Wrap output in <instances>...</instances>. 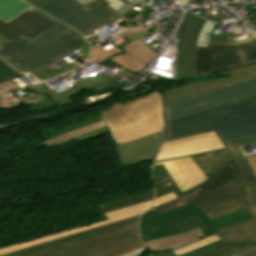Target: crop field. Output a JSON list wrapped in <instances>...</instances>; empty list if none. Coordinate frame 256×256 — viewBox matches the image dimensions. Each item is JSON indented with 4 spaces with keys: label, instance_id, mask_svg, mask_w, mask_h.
<instances>
[{
    "label": "crop field",
    "instance_id": "crop-field-49",
    "mask_svg": "<svg viewBox=\"0 0 256 256\" xmlns=\"http://www.w3.org/2000/svg\"><path fill=\"white\" fill-rule=\"evenodd\" d=\"M145 253V250L144 249H141V250H139V251H136V252H134V253H132V254H128V255H126V256H140V255H142V254H144Z\"/></svg>",
    "mask_w": 256,
    "mask_h": 256
},
{
    "label": "crop field",
    "instance_id": "crop-field-38",
    "mask_svg": "<svg viewBox=\"0 0 256 256\" xmlns=\"http://www.w3.org/2000/svg\"><path fill=\"white\" fill-rule=\"evenodd\" d=\"M224 242H225V241L219 240V241H217V242H214V243H212V244H209V245L204 246V247H202V248L196 249V250H194V251H191V252L186 253V254L181 255V256H193V255H196V254H198V253H200V252H203V251H205V250H207V249H210V248H212V247H214V246H217V245H219V244H222V243H224Z\"/></svg>",
    "mask_w": 256,
    "mask_h": 256
},
{
    "label": "crop field",
    "instance_id": "crop-field-17",
    "mask_svg": "<svg viewBox=\"0 0 256 256\" xmlns=\"http://www.w3.org/2000/svg\"><path fill=\"white\" fill-rule=\"evenodd\" d=\"M51 25L27 10L9 23L0 20V34L8 40L21 33L31 38Z\"/></svg>",
    "mask_w": 256,
    "mask_h": 256
},
{
    "label": "crop field",
    "instance_id": "crop-field-1",
    "mask_svg": "<svg viewBox=\"0 0 256 256\" xmlns=\"http://www.w3.org/2000/svg\"><path fill=\"white\" fill-rule=\"evenodd\" d=\"M206 196L200 188L180 199L155 207L140 218L142 241L185 233L200 227L204 237L215 230L252 219L246 209L211 221L193 202Z\"/></svg>",
    "mask_w": 256,
    "mask_h": 256
},
{
    "label": "crop field",
    "instance_id": "crop-field-33",
    "mask_svg": "<svg viewBox=\"0 0 256 256\" xmlns=\"http://www.w3.org/2000/svg\"><path fill=\"white\" fill-rule=\"evenodd\" d=\"M219 240V237L217 236H212V237H208V238H204L202 240H199L193 244H190L188 246H185L181 249H178V250H175V251H172L174 254H176L177 256L181 255V254H184L186 252H189L191 250H194L196 248H199V247H202L204 245H207L209 243H212L214 241H217Z\"/></svg>",
    "mask_w": 256,
    "mask_h": 256
},
{
    "label": "crop field",
    "instance_id": "crop-field-56",
    "mask_svg": "<svg viewBox=\"0 0 256 256\" xmlns=\"http://www.w3.org/2000/svg\"><path fill=\"white\" fill-rule=\"evenodd\" d=\"M148 256H150V255H148Z\"/></svg>",
    "mask_w": 256,
    "mask_h": 256
},
{
    "label": "crop field",
    "instance_id": "crop-field-15",
    "mask_svg": "<svg viewBox=\"0 0 256 256\" xmlns=\"http://www.w3.org/2000/svg\"><path fill=\"white\" fill-rule=\"evenodd\" d=\"M239 175L237 168L235 166L234 161H232L230 164H228L224 169H222L220 172L217 174L213 175L211 178L205 180L203 183L200 185L189 189L185 192H181V190L178 188V186L175 184V182L170 179H166L163 181L155 182V190H156V196L155 198L162 196L166 193H169L173 191L178 197H181L199 187H201L205 193L208 195L220 186L224 185L234 177Z\"/></svg>",
    "mask_w": 256,
    "mask_h": 256
},
{
    "label": "crop field",
    "instance_id": "crop-field-54",
    "mask_svg": "<svg viewBox=\"0 0 256 256\" xmlns=\"http://www.w3.org/2000/svg\"><path fill=\"white\" fill-rule=\"evenodd\" d=\"M253 15H256V13H254Z\"/></svg>",
    "mask_w": 256,
    "mask_h": 256
},
{
    "label": "crop field",
    "instance_id": "crop-field-40",
    "mask_svg": "<svg viewBox=\"0 0 256 256\" xmlns=\"http://www.w3.org/2000/svg\"><path fill=\"white\" fill-rule=\"evenodd\" d=\"M232 256H256V246L240 251Z\"/></svg>",
    "mask_w": 256,
    "mask_h": 256
},
{
    "label": "crop field",
    "instance_id": "crop-field-46",
    "mask_svg": "<svg viewBox=\"0 0 256 256\" xmlns=\"http://www.w3.org/2000/svg\"><path fill=\"white\" fill-rule=\"evenodd\" d=\"M247 158H248V161H249L253 171L256 174V156H248Z\"/></svg>",
    "mask_w": 256,
    "mask_h": 256
},
{
    "label": "crop field",
    "instance_id": "crop-field-10",
    "mask_svg": "<svg viewBox=\"0 0 256 256\" xmlns=\"http://www.w3.org/2000/svg\"><path fill=\"white\" fill-rule=\"evenodd\" d=\"M226 75L229 74L230 77L212 80L208 82L199 81L190 83L188 85L171 89L163 94L164 103L168 101H173L179 98L188 97L194 94L234 85L237 83L245 82L248 80L256 79V64L221 72L215 75ZM226 82V84H225Z\"/></svg>",
    "mask_w": 256,
    "mask_h": 256
},
{
    "label": "crop field",
    "instance_id": "crop-field-24",
    "mask_svg": "<svg viewBox=\"0 0 256 256\" xmlns=\"http://www.w3.org/2000/svg\"><path fill=\"white\" fill-rule=\"evenodd\" d=\"M139 216L140 215L134 216V217H131V218H128V219H125V220H121V221H118V222H115V223H112V224H109V225H105V226H102V227H98V228H95V229H91V230H87V231H84V232L73 234V235H70V236H67V237H63V238H60V239H57V240H53V241H50V242H47V243H43V244L35 245V246H32V247H28V248H25V249H22V250H19V251H15V252H12V253H9V254H6V255H2V256H21V255H24V254H28V253H31L33 251H36V250H39V249H42V248H46V247H50V246L58 244V243L78 239V238H81V237H84V236H87V235H90V234H93V233H96V232H99V231H102V230H105V229H109V228H112V227H115V226H119V225H122V224H125V223H128V222L137 220L139 218Z\"/></svg>",
    "mask_w": 256,
    "mask_h": 256
},
{
    "label": "crop field",
    "instance_id": "crop-field-6",
    "mask_svg": "<svg viewBox=\"0 0 256 256\" xmlns=\"http://www.w3.org/2000/svg\"><path fill=\"white\" fill-rule=\"evenodd\" d=\"M24 1L77 29L83 37L94 34L93 30L124 17L108 7L107 5L110 3L105 0H96L84 7L76 0Z\"/></svg>",
    "mask_w": 256,
    "mask_h": 256
},
{
    "label": "crop field",
    "instance_id": "crop-field-30",
    "mask_svg": "<svg viewBox=\"0 0 256 256\" xmlns=\"http://www.w3.org/2000/svg\"><path fill=\"white\" fill-rule=\"evenodd\" d=\"M70 67H71V69H75V68H78V67H80V66H78V65H76V64H74V63H70V65L67 64V65L62 66V67H60V68H57V67L55 66V64H52V65H50V66H48V67H46V68H43V69H41V70H39V71H37V72H34V73H32V74H33L35 77H37L39 80L44 81V80H46V79H49V78H52V77L57 76V75H59V74L65 73V72H67V71H70V70L68 69V68H70Z\"/></svg>",
    "mask_w": 256,
    "mask_h": 256
},
{
    "label": "crop field",
    "instance_id": "crop-field-48",
    "mask_svg": "<svg viewBox=\"0 0 256 256\" xmlns=\"http://www.w3.org/2000/svg\"><path fill=\"white\" fill-rule=\"evenodd\" d=\"M251 98H256V97H251ZM247 99H250V98H247ZM243 100H245V99H243ZM240 101V100H239ZM230 103H234V101H232V102H230ZM230 103H227V104H230ZM227 104H223V105H220V106H216V107H213V108H210V109H214V108H218V107H221V106H224V105H227ZM210 109H207V110H210ZM207 110H204V111H207ZM201 112H203V111H201ZM201 112H198V113H195V114H199V113H201ZM195 114H192V115H195ZM188 116H191V115H188ZM185 117H187V116H185ZM181 118H183V117H181ZM179 119V118H178ZM174 120H176V119H174ZM171 121H173V120H171ZM167 122H170V121H167ZM167 122H165V123H167Z\"/></svg>",
    "mask_w": 256,
    "mask_h": 256
},
{
    "label": "crop field",
    "instance_id": "crop-field-2",
    "mask_svg": "<svg viewBox=\"0 0 256 256\" xmlns=\"http://www.w3.org/2000/svg\"><path fill=\"white\" fill-rule=\"evenodd\" d=\"M28 10L54 25L31 39L22 34L0 45V57L16 70L37 71L67 57L85 41L74 29L35 8Z\"/></svg>",
    "mask_w": 256,
    "mask_h": 256
},
{
    "label": "crop field",
    "instance_id": "crop-field-43",
    "mask_svg": "<svg viewBox=\"0 0 256 256\" xmlns=\"http://www.w3.org/2000/svg\"><path fill=\"white\" fill-rule=\"evenodd\" d=\"M119 70H120V71H119L118 73H120V74H122V75L128 77V78L131 79V80L137 75V73L132 72V71H130V70H128V69H125V68H123V69L120 68Z\"/></svg>",
    "mask_w": 256,
    "mask_h": 256
},
{
    "label": "crop field",
    "instance_id": "crop-field-16",
    "mask_svg": "<svg viewBox=\"0 0 256 256\" xmlns=\"http://www.w3.org/2000/svg\"><path fill=\"white\" fill-rule=\"evenodd\" d=\"M159 164L164 165L182 192L207 179L190 157L157 163L155 165Z\"/></svg>",
    "mask_w": 256,
    "mask_h": 256
},
{
    "label": "crop field",
    "instance_id": "crop-field-18",
    "mask_svg": "<svg viewBox=\"0 0 256 256\" xmlns=\"http://www.w3.org/2000/svg\"><path fill=\"white\" fill-rule=\"evenodd\" d=\"M121 48L126 52L108 60L137 73L142 71L157 55L140 39Z\"/></svg>",
    "mask_w": 256,
    "mask_h": 256
},
{
    "label": "crop field",
    "instance_id": "crop-field-51",
    "mask_svg": "<svg viewBox=\"0 0 256 256\" xmlns=\"http://www.w3.org/2000/svg\"><path fill=\"white\" fill-rule=\"evenodd\" d=\"M178 1H182V2H181V5H182L183 8L186 7L187 2H188V0H178Z\"/></svg>",
    "mask_w": 256,
    "mask_h": 256
},
{
    "label": "crop field",
    "instance_id": "crop-field-19",
    "mask_svg": "<svg viewBox=\"0 0 256 256\" xmlns=\"http://www.w3.org/2000/svg\"><path fill=\"white\" fill-rule=\"evenodd\" d=\"M141 248L143 246L136 231L101 246L89 248L69 256H121Z\"/></svg>",
    "mask_w": 256,
    "mask_h": 256
},
{
    "label": "crop field",
    "instance_id": "crop-field-31",
    "mask_svg": "<svg viewBox=\"0 0 256 256\" xmlns=\"http://www.w3.org/2000/svg\"><path fill=\"white\" fill-rule=\"evenodd\" d=\"M152 201H148V202L133 205L130 207L107 212V213H104V216L107 218V220H109V219L117 218V217L124 216L127 214L135 213L138 211L146 210V209L150 208Z\"/></svg>",
    "mask_w": 256,
    "mask_h": 256
},
{
    "label": "crop field",
    "instance_id": "crop-field-35",
    "mask_svg": "<svg viewBox=\"0 0 256 256\" xmlns=\"http://www.w3.org/2000/svg\"><path fill=\"white\" fill-rule=\"evenodd\" d=\"M214 25L215 23L207 21V23L205 24V26L203 27L200 33L196 46H205V47L207 46Z\"/></svg>",
    "mask_w": 256,
    "mask_h": 256
},
{
    "label": "crop field",
    "instance_id": "crop-field-39",
    "mask_svg": "<svg viewBox=\"0 0 256 256\" xmlns=\"http://www.w3.org/2000/svg\"><path fill=\"white\" fill-rule=\"evenodd\" d=\"M175 198H177V196L173 192H171L169 194H166V195H164L162 197H159V198L155 199V201H154V203L152 205V208L155 207V206H158L160 204H163V203H165L167 201H170L172 199H175Z\"/></svg>",
    "mask_w": 256,
    "mask_h": 256
},
{
    "label": "crop field",
    "instance_id": "crop-field-41",
    "mask_svg": "<svg viewBox=\"0 0 256 256\" xmlns=\"http://www.w3.org/2000/svg\"><path fill=\"white\" fill-rule=\"evenodd\" d=\"M90 45L85 41L79 48L80 50L78 53H80V57H87L88 52H89Z\"/></svg>",
    "mask_w": 256,
    "mask_h": 256
},
{
    "label": "crop field",
    "instance_id": "crop-field-34",
    "mask_svg": "<svg viewBox=\"0 0 256 256\" xmlns=\"http://www.w3.org/2000/svg\"><path fill=\"white\" fill-rule=\"evenodd\" d=\"M23 75L24 73L15 72L6 63L0 60V83Z\"/></svg>",
    "mask_w": 256,
    "mask_h": 256
},
{
    "label": "crop field",
    "instance_id": "crop-field-45",
    "mask_svg": "<svg viewBox=\"0 0 256 256\" xmlns=\"http://www.w3.org/2000/svg\"><path fill=\"white\" fill-rule=\"evenodd\" d=\"M256 245V244H255ZM252 246H254V245H252ZM252 246H250V247H252ZM247 248H249V247H247ZM244 249H246V248H244ZM241 250H243V249H241ZM240 251V250H239ZM236 252H238V251H236ZM236 252H233V253H231V254H234V253H236ZM231 254H228V255H225V256H229V255H231ZM152 256H175L172 252H165V253H156V254H153Z\"/></svg>",
    "mask_w": 256,
    "mask_h": 256
},
{
    "label": "crop field",
    "instance_id": "crop-field-44",
    "mask_svg": "<svg viewBox=\"0 0 256 256\" xmlns=\"http://www.w3.org/2000/svg\"><path fill=\"white\" fill-rule=\"evenodd\" d=\"M136 4H138V2H133L129 5L125 4L118 12H120L121 14H125L127 13L130 9H132Z\"/></svg>",
    "mask_w": 256,
    "mask_h": 256
},
{
    "label": "crop field",
    "instance_id": "crop-field-37",
    "mask_svg": "<svg viewBox=\"0 0 256 256\" xmlns=\"http://www.w3.org/2000/svg\"><path fill=\"white\" fill-rule=\"evenodd\" d=\"M249 145H256V143H254V144H243V145H240L239 148L235 147L237 145H231V146H226V147L229 149V151L231 152L233 157H237V156H243L242 153H245L244 146H249Z\"/></svg>",
    "mask_w": 256,
    "mask_h": 256
},
{
    "label": "crop field",
    "instance_id": "crop-field-22",
    "mask_svg": "<svg viewBox=\"0 0 256 256\" xmlns=\"http://www.w3.org/2000/svg\"><path fill=\"white\" fill-rule=\"evenodd\" d=\"M149 33H151L150 31L144 29V28H141V29H136V30H132V31H129V32H125V33H122L120 34L123 39L126 41L118 46H115L109 50H105L103 47L109 45V43L107 44H104V45H100L98 42L94 43L93 47H92V50L90 52V55H89V60L91 61H95V62H102L114 55H117L119 53H122L124 52L122 49H120L119 47L127 44V43H130L138 38H141V37H144L146 35H148ZM94 62V63H95Z\"/></svg>",
    "mask_w": 256,
    "mask_h": 256
},
{
    "label": "crop field",
    "instance_id": "crop-field-13",
    "mask_svg": "<svg viewBox=\"0 0 256 256\" xmlns=\"http://www.w3.org/2000/svg\"><path fill=\"white\" fill-rule=\"evenodd\" d=\"M120 77H116L113 80L110 79L106 74L101 73L98 75H94L88 78L80 79L73 83L72 88L56 93L54 90L50 91L47 86L43 83L35 85L33 87L27 88L26 90L35 91L37 93H42L50 96L52 99L56 101L57 104L64 106L69 104H74L75 102L69 97L77 95L83 91L89 90H109L113 87L108 84L119 79Z\"/></svg>",
    "mask_w": 256,
    "mask_h": 256
},
{
    "label": "crop field",
    "instance_id": "crop-field-36",
    "mask_svg": "<svg viewBox=\"0 0 256 256\" xmlns=\"http://www.w3.org/2000/svg\"><path fill=\"white\" fill-rule=\"evenodd\" d=\"M153 178H154V182H155V181H159L162 179L170 178V175L165 170L163 165H159V166H154V168H153Z\"/></svg>",
    "mask_w": 256,
    "mask_h": 256
},
{
    "label": "crop field",
    "instance_id": "crop-field-29",
    "mask_svg": "<svg viewBox=\"0 0 256 256\" xmlns=\"http://www.w3.org/2000/svg\"><path fill=\"white\" fill-rule=\"evenodd\" d=\"M256 242H226L196 256H223L241 248L255 244Z\"/></svg>",
    "mask_w": 256,
    "mask_h": 256
},
{
    "label": "crop field",
    "instance_id": "crop-field-12",
    "mask_svg": "<svg viewBox=\"0 0 256 256\" xmlns=\"http://www.w3.org/2000/svg\"><path fill=\"white\" fill-rule=\"evenodd\" d=\"M224 148L223 142L212 131L163 143L156 160Z\"/></svg>",
    "mask_w": 256,
    "mask_h": 256
},
{
    "label": "crop field",
    "instance_id": "crop-field-55",
    "mask_svg": "<svg viewBox=\"0 0 256 256\" xmlns=\"http://www.w3.org/2000/svg\"><path fill=\"white\" fill-rule=\"evenodd\" d=\"M246 1H250V0H246Z\"/></svg>",
    "mask_w": 256,
    "mask_h": 256
},
{
    "label": "crop field",
    "instance_id": "crop-field-11",
    "mask_svg": "<svg viewBox=\"0 0 256 256\" xmlns=\"http://www.w3.org/2000/svg\"><path fill=\"white\" fill-rule=\"evenodd\" d=\"M137 226H138V220L116 227V228L102 231L78 240L58 244L47 249L39 250L34 253H31L28 255L24 254V255L25 256H66L89 247L101 245L115 238L134 232L137 230Z\"/></svg>",
    "mask_w": 256,
    "mask_h": 256
},
{
    "label": "crop field",
    "instance_id": "crop-field-52",
    "mask_svg": "<svg viewBox=\"0 0 256 256\" xmlns=\"http://www.w3.org/2000/svg\"><path fill=\"white\" fill-rule=\"evenodd\" d=\"M5 41H7V40L0 35V44L5 42Z\"/></svg>",
    "mask_w": 256,
    "mask_h": 256
},
{
    "label": "crop field",
    "instance_id": "crop-field-53",
    "mask_svg": "<svg viewBox=\"0 0 256 256\" xmlns=\"http://www.w3.org/2000/svg\"><path fill=\"white\" fill-rule=\"evenodd\" d=\"M252 25V24H251ZM256 29V25H252Z\"/></svg>",
    "mask_w": 256,
    "mask_h": 256
},
{
    "label": "crop field",
    "instance_id": "crop-field-23",
    "mask_svg": "<svg viewBox=\"0 0 256 256\" xmlns=\"http://www.w3.org/2000/svg\"><path fill=\"white\" fill-rule=\"evenodd\" d=\"M247 210L254 219L217 230V234L222 239L229 241H256V217L249 208Z\"/></svg>",
    "mask_w": 256,
    "mask_h": 256
},
{
    "label": "crop field",
    "instance_id": "crop-field-28",
    "mask_svg": "<svg viewBox=\"0 0 256 256\" xmlns=\"http://www.w3.org/2000/svg\"><path fill=\"white\" fill-rule=\"evenodd\" d=\"M30 7L20 0H0V19L9 21Z\"/></svg>",
    "mask_w": 256,
    "mask_h": 256
},
{
    "label": "crop field",
    "instance_id": "crop-field-4",
    "mask_svg": "<svg viewBox=\"0 0 256 256\" xmlns=\"http://www.w3.org/2000/svg\"><path fill=\"white\" fill-rule=\"evenodd\" d=\"M100 115L116 145L164 130L162 101L158 91L124 106L118 103Z\"/></svg>",
    "mask_w": 256,
    "mask_h": 256
},
{
    "label": "crop field",
    "instance_id": "crop-field-47",
    "mask_svg": "<svg viewBox=\"0 0 256 256\" xmlns=\"http://www.w3.org/2000/svg\"><path fill=\"white\" fill-rule=\"evenodd\" d=\"M225 37H226L225 35H223V36L211 37L209 42H227V41L225 40Z\"/></svg>",
    "mask_w": 256,
    "mask_h": 256
},
{
    "label": "crop field",
    "instance_id": "crop-field-32",
    "mask_svg": "<svg viewBox=\"0 0 256 256\" xmlns=\"http://www.w3.org/2000/svg\"><path fill=\"white\" fill-rule=\"evenodd\" d=\"M101 120L102 119H101L100 115H98V116H95V117H92V118H89V119L77 122V123H75V124H73V125H71L69 127L63 128L61 130H58V131H55V132L49 134L44 141H47V140H49L51 138H54V137H56L58 135H61V134L65 133V132H68V131H71V130H74V129H77V128H80V127H83V126H86V125H89V124L101 121Z\"/></svg>",
    "mask_w": 256,
    "mask_h": 256
},
{
    "label": "crop field",
    "instance_id": "crop-field-21",
    "mask_svg": "<svg viewBox=\"0 0 256 256\" xmlns=\"http://www.w3.org/2000/svg\"><path fill=\"white\" fill-rule=\"evenodd\" d=\"M203 238L200 229L190 231L185 234L169 236L144 242L145 248L152 252L174 250L190 242Z\"/></svg>",
    "mask_w": 256,
    "mask_h": 256
},
{
    "label": "crop field",
    "instance_id": "crop-field-8",
    "mask_svg": "<svg viewBox=\"0 0 256 256\" xmlns=\"http://www.w3.org/2000/svg\"><path fill=\"white\" fill-rule=\"evenodd\" d=\"M251 96H256V80L168 102L164 104L165 121Z\"/></svg>",
    "mask_w": 256,
    "mask_h": 256
},
{
    "label": "crop field",
    "instance_id": "crop-field-3",
    "mask_svg": "<svg viewBox=\"0 0 256 256\" xmlns=\"http://www.w3.org/2000/svg\"><path fill=\"white\" fill-rule=\"evenodd\" d=\"M212 130L225 145L256 142V99L167 123L163 142Z\"/></svg>",
    "mask_w": 256,
    "mask_h": 256
},
{
    "label": "crop field",
    "instance_id": "crop-field-42",
    "mask_svg": "<svg viewBox=\"0 0 256 256\" xmlns=\"http://www.w3.org/2000/svg\"><path fill=\"white\" fill-rule=\"evenodd\" d=\"M107 1L111 3L108 6L112 7L117 11L125 4L121 0H107Z\"/></svg>",
    "mask_w": 256,
    "mask_h": 256
},
{
    "label": "crop field",
    "instance_id": "crop-field-25",
    "mask_svg": "<svg viewBox=\"0 0 256 256\" xmlns=\"http://www.w3.org/2000/svg\"><path fill=\"white\" fill-rule=\"evenodd\" d=\"M143 212L144 211L138 212V213H135V214H131V215H128V216L120 217V218H117V219L105 221V222H100V223H95V224H90V225H86V226H83V227L75 228V229H72L70 231L54 234L52 236L42 237V238H39V239L34 240V241H30V242H26V243H21V244L9 246V247L1 248L0 249V255L9 253V252H12V251H15V250H19V249H22V248H25V247H28V246H32V245H35V244H38V243L50 241V240L57 239V238H60V237H63V236H67V235H70V234H73V233L84 231V230H87V229H91V228H95V227L102 226V225H105V224H109V223H112V222H115V221H118V220H121V219H125V218H128V217L134 216V215L141 214Z\"/></svg>",
    "mask_w": 256,
    "mask_h": 256
},
{
    "label": "crop field",
    "instance_id": "crop-field-26",
    "mask_svg": "<svg viewBox=\"0 0 256 256\" xmlns=\"http://www.w3.org/2000/svg\"><path fill=\"white\" fill-rule=\"evenodd\" d=\"M105 127H106L105 124L103 123V121H101V122H98V123H95V124H92V125H89V126H86V127H83V128H80V129H77V130H74V131H71L68 133H65V134L58 136L54 139H51L47 142L41 143L33 148L38 150L47 145L50 149H52L68 140L74 139L78 136H81V135H84V134H87V133H90V132H93V131H96V130H99V129H102Z\"/></svg>",
    "mask_w": 256,
    "mask_h": 256
},
{
    "label": "crop field",
    "instance_id": "crop-field-7",
    "mask_svg": "<svg viewBox=\"0 0 256 256\" xmlns=\"http://www.w3.org/2000/svg\"><path fill=\"white\" fill-rule=\"evenodd\" d=\"M253 62H256V36L239 43H209L207 48L196 47L197 76Z\"/></svg>",
    "mask_w": 256,
    "mask_h": 256
},
{
    "label": "crop field",
    "instance_id": "crop-field-5",
    "mask_svg": "<svg viewBox=\"0 0 256 256\" xmlns=\"http://www.w3.org/2000/svg\"><path fill=\"white\" fill-rule=\"evenodd\" d=\"M239 176L195 204L211 219L249 207L256 216V177L246 157L234 158Z\"/></svg>",
    "mask_w": 256,
    "mask_h": 256
},
{
    "label": "crop field",
    "instance_id": "crop-field-27",
    "mask_svg": "<svg viewBox=\"0 0 256 256\" xmlns=\"http://www.w3.org/2000/svg\"><path fill=\"white\" fill-rule=\"evenodd\" d=\"M154 196V189L145 191L139 194H135L129 197H125L116 201H112L106 204L97 206L100 212L104 213L107 211L115 210L118 208L126 207L129 205L141 203L144 201L152 200Z\"/></svg>",
    "mask_w": 256,
    "mask_h": 256
},
{
    "label": "crop field",
    "instance_id": "crop-field-9",
    "mask_svg": "<svg viewBox=\"0 0 256 256\" xmlns=\"http://www.w3.org/2000/svg\"><path fill=\"white\" fill-rule=\"evenodd\" d=\"M205 23L206 20L187 12L176 36L180 39L177 46L176 77L196 76L194 72L195 45Z\"/></svg>",
    "mask_w": 256,
    "mask_h": 256
},
{
    "label": "crop field",
    "instance_id": "crop-field-50",
    "mask_svg": "<svg viewBox=\"0 0 256 256\" xmlns=\"http://www.w3.org/2000/svg\"><path fill=\"white\" fill-rule=\"evenodd\" d=\"M79 3H81L83 6L94 1V0H77Z\"/></svg>",
    "mask_w": 256,
    "mask_h": 256
},
{
    "label": "crop field",
    "instance_id": "crop-field-20",
    "mask_svg": "<svg viewBox=\"0 0 256 256\" xmlns=\"http://www.w3.org/2000/svg\"><path fill=\"white\" fill-rule=\"evenodd\" d=\"M187 156H190L192 158V160L197 164V166L201 169V171L206 175L207 178L211 177L214 173L220 171L229 162L233 160V157L228 151V149L187 155ZM187 156L158 160L155 163L187 157Z\"/></svg>",
    "mask_w": 256,
    "mask_h": 256
},
{
    "label": "crop field",
    "instance_id": "crop-field-14",
    "mask_svg": "<svg viewBox=\"0 0 256 256\" xmlns=\"http://www.w3.org/2000/svg\"><path fill=\"white\" fill-rule=\"evenodd\" d=\"M163 131L116 146L122 165L152 160L159 148Z\"/></svg>",
    "mask_w": 256,
    "mask_h": 256
}]
</instances>
